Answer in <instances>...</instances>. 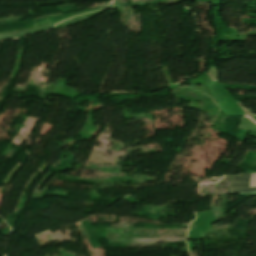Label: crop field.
Returning a JSON list of instances; mask_svg holds the SVG:
<instances>
[{
  "label": "crop field",
  "mask_w": 256,
  "mask_h": 256,
  "mask_svg": "<svg viewBox=\"0 0 256 256\" xmlns=\"http://www.w3.org/2000/svg\"><path fill=\"white\" fill-rule=\"evenodd\" d=\"M229 193H233V194L256 193V188H229Z\"/></svg>",
  "instance_id": "ac0d7876"
},
{
  "label": "crop field",
  "mask_w": 256,
  "mask_h": 256,
  "mask_svg": "<svg viewBox=\"0 0 256 256\" xmlns=\"http://www.w3.org/2000/svg\"><path fill=\"white\" fill-rule=\"evenodd\" d=\"M251 174L230 177L229 187H249Z\"/></svg>",
  "instance_id": "8a807250"
}]
</instances>
